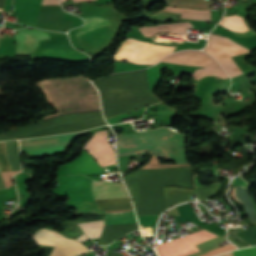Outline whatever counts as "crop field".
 I'll use <instances>...</instances> for the list:
<instances>
[{
	"label": "crop field",
	"instance_id": "crop-field-1",
	"mask_svg": "<svg viewBox=\"0 0 256 256\" xmlns=\"http://www.w3.org/2000/svg\"><path fill=\"white\" fill-rule=\"evenodd\" d=\"M144 150L174 160L176 164H186L183 136L174 131L159 128L149 132L118 135V156ZM136 174L143 215H158L165 209L163 185L193 187L191 167L137 170ZM136 174L133 172L126 175L124 180L138 215H142Z\"/></svg>",
	"mask_w": 256,
	"mask_h": 256
},
{
	"label": "crop field",
	"instance_id": "crop-field-2",
	"mask_svg": "<svg viewBox=\"0 0 256 256\" xmlns=\"http://www.w3.org/2000/svg\"><path fill=\"white\" fill-rule=\"evenodd\" d=\"M50 94L58 114L101 110L98 93L83 77L40 81ZM101 111L57 115L5 135L17 139L82 131L105 125Z\"/></svg>",
	"mask_w": 256,
	"mask_h": 256
},
{
	"label": "crop field",
	"instance_id": "crop-field-3",
	"mask_svg": "<svg viewBox=\"0 0 256 256\" xmlns=\"http://www.w3.org/2000/svg\"><path fill=\"white\" fill-rule=\"evenodd\" d=\"M94 84L100 91L107 120L157 103L150 96L144 70L104 77Z\"/></svg>",
	"mask_w": 256,
	"mask_h": 256
},
{
	"label": "crop field",
	"instance_id": "crop-field-4",
	"mask_svg": "<svg viewBox=\"0 0 256 256\" xmlns=\"http://www.w3.org/2000/svg\"><path fill=\"white\" fill-rule=\"evenodd\" d=\"M94 200L129 197L123 183H104L92 181ZM99 210L133 208L130 198L94 201ZM137 222L133 209L105 212V225ZM138 228L137 223L104 226L99 242L108 245L120 236Z\"/></svg>",
	"mask_w": 256,
	"mask_h": 256
},
{
	"label": "crop field",
	"instance_id": "crop-field-5",
	"mask_svg": "<svg viewBox=\"0 0 256 256\" xmlns=\"http://www.w3.org/2000/svg\"><path fill=\"white\" fill-rule=\"evenodd\" d=\"M162 61L184 65L208 66L206 68L196 70L191 75V77L195 79H200L208 75H216L223 79L229 77L210 55L202 51H180L169 55Z\"/></svg>",
	"mask_w": 256,
	"mask_h": 256
},
{
	"label": "crop field",
	"instance_id": "crop-field-6",
	"mask_svg": "<svg viewBox=\"0 0 256 256\" xmlns=\"http://www.w3.org/2000/svg\"><path fill=\"white\" fill-rule=\"evenodd\" d=\"M203 51L214 56L231 77L242 74L231 56L249 52L229 38L213 34L210 35L208 45Z\"/></svg>",
	"mask_w": 256,
	"mask_h": 256
},
{
	"label": "crop field",
	"instance_id": "crop-field-7",
	"mask_svg": "<svg viewBox=\"0 0 256 256\" xmlns=\"http://www.w3.org/2000/svg\"><path fill=\"white\" fill-rule=\"evenodd\" d=\"M33 239L37 244L54 246L55 249L50 256H78L89 251L79 242L66 239L53 230L42 229L33 236Z\"/></svg>",
	"mask_w": 256,
	"mask_h": 256
},
{
	"label": "crop field",
	"instance_id": "crop-field-8",
	"mask_svg": "<svg viewBox=\"0 0 256 256\" xmlns=\"http://www.w3.org/2000/svg\"><path fill=\"white\" fill-rule=\"evenodd\" d=\"M67 134L20 141L21 152L30 157L45 155L53 152H63L67 143L77 135Z\"/></svg>",
	"mask_w": 256,
	"mask_h": 256
},
{
	"label": "crop field",
	"instance_id": "crop-field-9",
	"mask_svg": "<svg viewBox=\"0 0 256 256\" xmlns=\"http://www.w3.org/2000/svg\"><path fill=\"white\" fill-rule=\"evenodd\" d=\"M218 186L198 190L184 189L180 187H164L166 207L180 201L191 200L190 194L197 193L198 200L206 199L216 193Z\"/></svg>",
	"mask_w": 256,
	"mask_h": 256
},
{
	"label": "crop field",
	"instance_id": "crop-field-10",
	"mask_svg": "<svg viewBox=\"0 0 256 256\" xmlns=\"http://www.w3.org/2000/svg\"><path fill=\"white\" fill-rule=\"evenodd\" d=\"M5 144H6L7 155H8V160H9L11 171L20 170L17 141L5 142ZM5 144H4V142H0V170H1V172L10 171L9 165H8V160H7V155H6V150H5ZM0 185H1L2 189H5L1 174H0Z\"/></svg>",
	"mask_w": 256,
	"mask_h": 256
},
{
	"label": "crop field",
	"instance_id": "crop-field-11",
	"mask_svg": "<svg viewBox=\"0 0 256 256\" xmlns=\"http://www.w3.org/2000/svg\"><path fill=\"white\" fill-rule=\"evenodd\" d=\"M17 40L18 54H27L38 47L41 39H47L50 36L39 30L19 31L15 34Z\"/></svg>",
	"mask_w": 256,
	"mask_h": 256
},
{
	"label": "crop field",
	"instance_id": "crop-field-12",
	"mask_svg": "<svg viewBox=\"0 0 256 256\" xmlns=\"http://www.w3.org/2000/svg\"><path fill=\"white\" fill-rule=\"evenodd\" d=\"M66 166L69 175L105 172L85 151H83L80 158L66 164Z\"/></svg>",
	"mask_w": 256,
	"mask_h": 256
},
{
	"label": "crop field",
	"instance_id": "crop-field-13",
	"mask_svg": "<svg viewBox=\"0 0 256 256\" xmlns=\"http://www.w3.org/2000/svg\"><path fill=\"white\" fill-rule=\"evenodd\" d=\"M192 27L190 23H177V24H168L161 25L159 27H142L140 28L142 33L147 34H157V35H167L172 34L174 36L183 37L186 33V28Z\"/></svg>",
	"mask_w": 256,
	"mask_h": 256
},
{
	"label": "crop field",
	"instance_id": "crop-field-14",
	"mask_svg": "<svg viewBox=\"0 0 256 256\" xmlns=\"http://www.w3.org/2000/svg\"><path fill=\"white\" fill-rule=\"evenodd\" d=\"M83 19L86 24L81 29H79L77 31V33H76L77 37L110 23V21H108L102 17H85Z\"/></svg>",
	"mask_w": 256,
	"mask_h": 256
},
{
	"label": "crop field",
	"instance_id": "crop-field-15",
	"mask_svg": "<svg viewBox=\"0 0 256 256\" xmlns=\"http://www.w3.org/2000/svg\"><path fill=\"white\" fill-rule=\"evenodd\" d=\"M104 220L81 223L79 226L83 229L85 234L90 238H98L103 230Z\"/></svg>",
	"mask_w": 256,
	"mask_h": 256
},
{
	"label": "crop field",
	"instance_id": "crop-field-16",
	"mask_svg": "<svg viewBox=\"0 0 256 256\" xmlns=\"http://www.w3.org/2000/svg\"><path fill=\"white\" fill-rule=\"evenodd\" d=\"M230 22L232 24L234 31L245 32L249 30L247 26L243 23L242 17L236 16V15L231 16Z\"/></svg>",
	"mask_w": 256,
	"mask_h": 256
},
{
	"label": "crop field",
	"instance_id": "crop-field-17",
	"mask_svg": "<svg viewBox=\"0 0 256 256\" xmlns=\"http://www.w3.org/2000/svg\"><path fill=\"white\" fill-rule=\"evenodd\" d=\"M234 256H256V246L233 252Z\"/></svg>",
	"mask_w": 256,
	"mask_h": 256
},
{
	"label": "crop field",
	"instance_id": "crop-field-18",
	"mask_svg": "<svg viewBox=\"0 0 256 256\" xmlns=\"http://www.w3.org/2000/svg\"><path fill=\"white\" fill-rule=\"evenodd\" d=\"M233 249H236V248L233 245L230 244L228 246L213 249V250H211V251H209L205 254H202L200 256H212V255L218 254L220 252L230 251V250H233Z\"/></svg>",
	"mask_w": 256,
	"mask_h": 256
},
{
	"label": "crop field",
	"instance_id": "crop-field-19",
	"mask_svg": "<svg viewBox=\"0 0 256 256\" xmlns=\"http://www.w3.org/2000/svg\"><path fill=\"white\" fill-rule=\"evenodd\" d=\"M42 4H59L58 0H43Z\"/></svg>",
	"mask_w": 256,
	"mask_h": 256
},
{
	"label": "crop field",
	"instance_id": "crop-field-20",
	"mask_svg": "<svg viewBox=\"0 0 256 256\" xmlns=\"http://www.w3.org/2000/svg\"><path fill=\"white\" fill-rule=\"evenodd\" d=\"M88 238L86 237V235L84 234V235H82L81 237H79L77 240H79V241H81L82 243L84 242V241H86Z\"/></svg>",
	"mask_w": 256,
	"mask_h": 256
},
{
	"label": "crop field",
	"instance_id": "crop-field-21",
	"mask_svg": "<svg viewBox=\"0 0 256 256\" xmlns=\"http://www.w3.org/2000/svg\"><path fill=\"white\" fill-rule=\"evenodd\" d=\"M1 140H11V138H7V137H4V136L0 135V141Z\"/></svg>",
	"mask_w": 256,
	"mask_h": 256
},
{
	"label": "crop field",
	"instance_id": "crop-field-22",
	"mask_svg": "<svg viewBox=\"0 0 256 256\" xmlns=\"http://www.w3.org/2000/svg\"><path fill=\"white\" fill-rule=\"evenodd\" d=\"M220 256H233L232 252Z\"/></svg>",
	"mask_w": 256,
	"mask_h": 256
},
{
	"label": "crop field",
	"instance_id": "crop-field-23",
	"mask_svg": "<svg viewBox=\"0 0 256 256\" xmlns=\"http://www.w3.org/2000/svg\"><path fill=\"white\" fill-rule=\"evenodd\" d=\"M108 256H118V255H116L115 253H110Z\"/></svg>",
	"mask_w": 256,
	"mask_h": 256
},
{
	"label": "crop field",
	"instance_id": "crop-field-24",
	"mask_svg": "<svg viewBox=\"0 0 256 256\" xmlns=\"http://www.w3.org/2000/svg\"><path fill=\"white\" fill-rule=\"evenodd\" d=\"M62 1H65V0H61V2H62ZM77 1H83V0H73V2H77Z\"/></svg>",
	"mask_w": 256,
	"mask_h": 256
}]
</instances>
